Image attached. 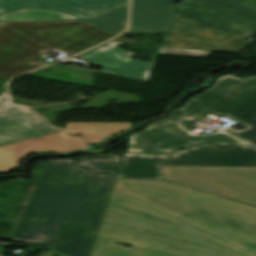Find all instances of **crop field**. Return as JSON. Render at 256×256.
<instances>
[{"label": "crop field", "mask_w": 256, "mask_h": 256, "mask_svg": "<svg viewBox=\"0 0 256 256\" xmlns=\"http://www.w3.org/2000/svg\"><path fill=\"white\" fill-rule=\"evenodd\" d=\"M128 11L129 4L87 21L100 30L116 35L127 28Z\"/></svg>", "instance_id": "obj_15"}, {"label": "crop field", "mask_w": 256, "mask_h": 256, "mask_svg": "<svg viewBox=\"0 0 256 256\" xmlns=\"http://www.w3.org/2000/svg\"><path fill=\"white\" fill-rule=\"evenodd\" d=\"M162 178L256 205V168L162 166Z\"/></svg>", "instance_id": "obj_7"}, {"label": "crop field", "mask_w": 256, "mask_h": 256, "mask_svg": "<svg viewBox=\"0 0 256 256\" xmlns=\"http://www.w3.org/2000/svg\"><path fill=\"white\" fill-rule=\"evenodd\" d=\"M8 100H9V97H8V96L1 95V96H0V107L3 106L5 103H7Z\"/></svg>", "instance_id": "obj_19"}, {"label": "crop field", "mask_w": 256, "mask_h": 256, "mask_svg": "<svg viewBox=\"0 0 256 256\" xmlns=\"http://www.w3.org/2000/svg\"><path fill=\"white\" fill-rule=\"evenodd\" d=\"M182 122L184 121L167 118L150 125L141 132L132 134L127 152L164 153L202 142L219 145L243 144L222 131L195 135L181 125Z\"/></svg>", "instance_id": "obj_8"}, {"label": "crop field", "mask_w": 256, "mask_h": 256, "mask_svg": "<svg viewBox=\"0 0 256 256\" xmlns=\"http://www.w3.org/2000/svg\"><path fill=\"white\" fill-rule=\"evenodd\" d=\"M255 32L256 0H183L174 6L162 47L213 51L236 35Z\"/></svg>", "instance_id": "obj_4"}, {"label": "crop field", "mask_w": 256, "mask_h": 256, "mask_svg": "<svg viewBox=\"0 0 256 256\" xmlns=\"http://www.w3.org/2000/svg\"><path fill=\"white\" fill-rule=\"evenodd\" d=\"M211 113L228 115L249 126L241 131L226 132L246 143L256 144V76L247 79L231 75L221 77L212 88L193 97L171 117L188 121Z\"/></svg>", "instance_id": "obj_5"}, {"label": "crop field", "mask_w": 256, "mask_h": 256, "mask_svg": "<svg viewBox=\"0 0 256 256\" xmlns=\"http://www.w3.org/2000/svg\"><path fill=\"white\" fill-rule=\"evenodd\" d=\"M160 53H162V54H172V55L207 57V55L210 52L173 50V49H164V48H162Z\"/></svg>", "instance_id": "obj_18"}, {"label": "crop field", "mask_w": 256, "mask_h": 256, "mask_svg": "<svg viewBox=\"0 0 256 256\" xmlns=\"http://www.w3.org/2000/svg\"><path fill=\"white\" fill-rule=\"evenodd\" d=\"M119 44L110 41L76 57L104 67L101 72L148 81L154 64L129 58L135 53L115 47Z\"/></svg>", "instance_id": "obj_11"}, {"label": "crop field", "mask_w": 256, "mask_h": 256, "mask_svg": "<svg viewBox=\"0 0 256 256\" xmlns=\"http://www.w3.org/2000/svg\"><path fill=\"white\" fill-rule=\"evenodd\" d=\"M79 20L57 11L23 9L0 15V21H63Z\"/></svg>", "instance_id": "obj_16"}, {"label": "crop field", "mask_w": 256, "mask_h": 256, "mask_svg": "<svg viewBox=\"0 0 256 256\" xmlns=\"http://www.w3.org/2000/svg\"><path fill=\"white\" fill-rule=\"evenodd\" d=\"M65 128L71 135L81 133L88 143H100L121 131L119 123H67Z\"/></svg>", "instance_id": "obj_14"}, {"label": "crop field", "mask_w": 256, "mask_h": 256, "mask_svg": "<svg viewBox=\"0 0 256 256\" xmlns=\"http://www.w3.org/2000/svg\"><path fill=\"white\" fill-rule=\"evenodd\" d=\"M77 149L87 150L89 147L82 138L70 137L65 131L2 146L0 147V172L19 166L22 158L31 152L63 153Z\"/></svg>", "instance_id": "obj_9"}, {"label": "crop field", "mask_w": 256, "mask_h": 256, "mask_svg": "<svg viewBox=\"0 0 256 256\" xmlns=\"http://www.w3.org/2000/svg\"><path fill=\"white\" fill-rule=\"evenodd\" d=\"M112 37L87 21L0 22V77L47 65L35 60L53 47L74 55Z\"/></svg>", "instance_id": "obj_3"}, {"label": "crop field", "mask_w": 256, "mask_h": 256, "mask_svg": "<svg viewBox=\"0 0 256 256\" xmlns=\"http://www.w3.org/2000/svg\"><path fill=\"white\" fill-rule=\"evenodd\" d=\"M90 256H256V207L162 180L116 179Z\"/></svg>", "instance_id": "obj_1"}, {"label": "crop field", "mask_w": 256, "mask_h": 256, "mask_svg": "<svg viewBox=\"0 0 256 256\" xmlns=\"http://www.w3.org/2000/svg\"><path fill=\"white\" fill-rule=\"evenodd\" d=\"M61 131L24 106L9 105L0 111V146Z\"/></svg>", "instance_id": "obj_10"}, {"label": "crop field", "mask_w": 256, "mask_h": 256, "mask_svg": "<svg viewBox=\"0 0 256 256\" xmlns=\"http://www.w3.org/2000/svg\"><path fill=\"white\" fill-rule=\"evenodd\" d=\"M251 42L252 41L248 40L246 36H239L232 41H228L220 45L216 51L237 53L243 48L247 47Z\"/></svg>", "instance_id": "obj_17"}, {"label": "crop field", "mask_w": 256, "mask_h": 256, "mask_svg": "<svg viewBox=\"0 0 256 256\" xmlns=\"http://www.w3.org/2000/svg\"><path fill=\"white\" fill-rule=\"evenodd\" d=\"M161 165L256 167V147L208 144L167 155L125 154L118 178H161Z\"/></svg>", "instance_id": "obj_6"}, {"label": "crop field", "mask_w": 256, "mask_h": 256, "mask_svg": "<svg viewBox=\"0 0 256 256\" xmlns=\"http://www.w3.org/2000/svg\"><path fill=\"white\" fill-rule=\"evenodd\" d=\"M176 0H132L129 31H166Z\"/></svg>", "instance_id": "obj_13"}, {"label": "crop field", "mask_w": 256, "mask_h": 256, "mask_svg": "<svg viewBox=\"0 0 256 256\" xmlns=\"http://www.w3.org/2000/svg\"><path fill=\"white\" fill-rule=\"evenodd\" d=\"M129 0H0V14L24 7L57 9L85 20L128 4Z\"/></svg>", "instance_id": "obj_12"}, {"label": "crop field", "mask_w": 256, "mask_h": 256, "mask_svg": "<svg viewBox=\"0 0 256 256\" xmlns=\"http://www.w3.org/2000/svg\"><path fill=\"white\" fill-rule=\"evenodd\" d=\"M119 157L49 160L13 239L89 256Z\"/></svg>", "instance_id": "obj_2"}]
</instances>
